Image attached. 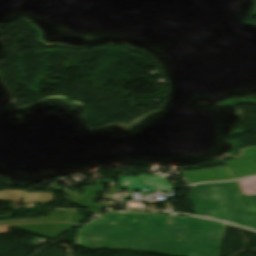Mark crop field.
<instances>
[{
  "mask_svg": "<svg viewBox=\"0 0 256 256\" xmlns=\"http://www.w3.org/2000/svg\"><path fill=\"white\" fill-rule=\"evenodd\" d=\"M225 227L193 217L110 211L79 229L77 245L173 256H218Z\"/></svg>",
  "mask_w": 256,
  "mask_h": 256,
  "instance_id": "obj_1",
  "label": "crop field"
},
{
  "mask_svg": "<svg viewBox=\"0 0 256 256\" xmlns=\"http://www.w3.org/2000/svg\"><path fill=\"white\" fill-rule=\"evenodd\" d=\"M189 200L198 216L256 230V213L248 211L237 182L192 187Z\"/></svg>",
  "mask_w": 256,
  "mask_h": 256,
  "instance_id": "obj_2",
  "label": "crop field"
},
{
  "mask_svg": "<svg viewBox=\"0 0 256 256\" xmlns=\"http://www.w3.org/2000/svg\"><path fill=\"white\" fill-rule=\"evenodd\" d=\"M104 183H108V193L105 195L112 203H114L116 201L114 197V182L106 180H96V185L85 186L83 196L79 195L76 191H67L68 198L72 203L97 213L111 205L105 201H99L96 205L93 204L97 192H101L102 194L106 193L101 185Z\"/></svg>",
  "mask_w": 256,
  "mask_h": 256,
  "instance_id": "obj_3",
  "label": "crop field"
},
{
  "mask_svg": "<svg viewBox=\"0 0 256 256\" xmlns=\"http://www.w3.org/2000/svg\"><path fill=\"white\" fill-rule=\"evenodd\" d=\"M146 187L149 188V191H142V188ZM156 188L159 190H167L175 188V186L168 182L167 177L158 175L149 177L145 174H142L137 177H120L118 181V190L128 189V191H134L136 189H141V191L145 193L150 192Z\"/></svg>",
  "mask_w": 256,
  "mask_h": 256,
  "instance_id": "obj_4",
  "label": "crop field"
},
{
  "mask_svg": "<svg viewBox=\"0 0 256 256\" xmlns=\"http://www.w3.org/2000/svg\"><path fill=\"white\" fill-rule=\"evenodd\" d=\"M76 225L77 224L53 222L45 224L17 225L10 227L54 239ZM7 230V221H0V233H7Z\"/></svg>",
  "mask_w": 256,
  "mask_h": 256,
  "instance_id": "obj_5",
  "label": "crop field"
},
{
  "mask_svg": "<svg viewBox=\"0 0 256 256\" xmlns=\"http://www.w3.org/2000/svg\"><path fill=\"white\" fill-rule=\"evenodd\" d=\"M225 165L236 179L256 175V148L244 149L239 158Z\"/></svg>",
  "mask_w": 256,
  "mask_h": 256,
  "instance_id": "obj_6",
  "label": "crop field"
},
{
  "mask_svg": "<svg viewBox=\"0 0 256 256\" xmlns=\"http://www.w3.org/2000/svg\"><path fill=\"white\" fill-rule=\"evenodd\" d=\"M181 174L189 184L194 182H208L234 179V177L226 170L224 166L214 169L183 172Z\"/></svg>",
  "mask_w": 256,
  "mask_h": 256,
  "instance_id": "obj_7",
  "label": "crop field"
},
{
  "mask_svg": "<svg viewBox=\"0 0 256 256\" xmlns=\"http://www.w3.org/2000/svg\"><path fill=\"white\" fill-rule=\"evenodd\" d=\"M250 211H256V195L244 196Z\"/></svg>",
  "mask_w": 256,
  "mask_h": 256,
  "instance_id": "obj_8",
  "label": "crop field"
},
{
  "mask_svg": "<svg viewBox=\"0 0 256 256\" xmlns=\"http://www.w3.org/2000/svg\"><path fill=\"white\" fill-rule=\"evenodd\" d=\"M165 203V207H166V210L167 209H169V204L168 203H166V202H164ZM143 205V204H142ZM146 207V206H145ZM142 209H150V210H159V211H164V210H161V209H156L152 204L150 205V207L149 208H142Z\"/></svg>",
  "mask_w": 256,
  "mask_h": 256,
  "instance_id": "obj_9",
  "label": "crop field"
},
{
  "mask_svg": "<svg viewBox=\"0 0 256 256\" xmlns=\"http://www.w3.org/2000/svg\"><path fill=\"white\" fill-rule=\"evenodd\" d=\"M37 188H41L40 186L36 187V188H33V189H37ZM33 189H30V190H33Z\"/></svg>",
  "mask_w": 256,
  "mask_h": 256,
  "instance_id": "obj_10",
  "label": "crop field"
}]
</instances>
